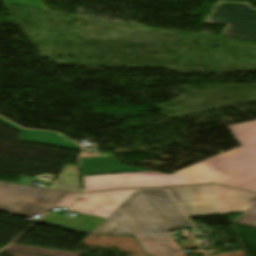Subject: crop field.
Returning a JSON list of instances; mask_svg holds the SVG:
<instances>
[{"mask_svg": "<svg viewBox=\"0 0 256 256\" xmlns=\"http://www.w3.org/2000/svg\"><path fill=\"white\" fill-rule=\"evenodd\" d=\"M229 128L242 147L173 175L146 171L83 177L85 191L203 183L256 191V121L230 125Z\"/></svg>", "mask_w": 256, "mask_h": 256, "instance_id": "1", "label": "crop field"}, {"mask_svg": "<svg viewBox=\"0 0 256 256\" xmlns=\"http://www.w3.org/2000/svg\"><path fill=\"white\" fill-rule=\"evenodd\" d=\"M193 227L166 189L135 190L92 233L134 236L150 256H187L169 231Z\"/></svg>", "mask_w": 256, "mask_h": 256, "instance_id": "2", "label": "crop field"}, {"mask_svg": "<svg viewBox=\"0 0 256 256\" xmlns=\"http://www.w3.org/2000/svg\"><path fill=\"white\" fill-rule=\"evenodd\" d=\"M188 216L243 212L256 203V194L220 186L169 189Z\"/></svg>", "mask_w": 256, "mask_h": 256, "instance_id": "3", "label": "crop field"}, {"mask_svg": "<svg viewBox=\"0 0 256 256\" xmlns=\"http://www.w3.org/2000/svg\"><path fill=\"white\" fill-rule=\"evenodd\" d=\"M77 192L32 188L0 181V211L32 218L42 215L60 197Z\"/></svg>", "mask_w": 256, "mask_h": 256, "instance_id": "4", "label": "crop field"}, {"mask_svg": "<svg viewBox=\"0 0 256 256\" xmlns=\"http://www.w3.org/2000/svg\"><path fill=\"white\" fill-rule=\"evenodd\" d=\"M204 23L227 25L223 37L256 41V9L250 3L217 1Z\"/></svg>", "mask_w": 256, "mask_h": 256, "instance_id": "5", "label": "crop field"}, {"mask_svg": "<svg viewBox=\"0 0 256 256\" xmlns=\"http://www.w3.org/2000/svg\"><path fill=\"white\" fill-rule=\"evenodd\" d=\"M134 190L84 194L68 210L107 218L112 211Z\"/></svg>", "mask_w": 256, "mask_h": 256, "instance_id": "6", "label": "crop field"}, {"mask_svg": "<svg viewBox=\"0 0 256 256\" xmlns=\"http://www.w3.org/2000/svg\"><path fill=\"white\" fill-rule=\"evenodd\" d=\"M103 220V218H97L80 214H77L73 219H70L56 216L55 213H48L41 221L44 222L45 224L55 225L65 229L89 234Z\"/></svg>", "mask_w": 256, "mask_h": 256, "instance_id": "7", "label": "crop field"}, {"mask_svg": "<svg viewBox=\"0 0 256 256\" xmlns=\"http://www.w3.org/2000/svg\"><path fill=\"white\" fill-rule=\"evenodd\" d=\"M0 122L18 130L21 132L19 139L37 142L42 144L60 146L70 149L81 150L82 147L74 144L73 142L67 140L63 136L59 135L58 133H50V132H40V131H32V130H21L18 126L0 118Z\"/></svg>", "mask_w": 256, "mask_h": 256, "instance_id": "8", "label": "crop field"}, {"mask_svg": "<svg viewBox=\"0 0 256 256\" xmlns=\"http://www.w3.org/2000/svg\"><path fill=\"white\" fill-rule=\"evenodd\" d=\"M58 177L62 178L63 184L81 189L78 166L65 165Z\"/></svg>", "mask_w": 256, "mask_h": 256, "instance_id": "9", "label": "crop field"}, {"mask_svg": "<svg viewBox=\"0 0 256 256\" xmlns=\"http://www.w3.org/2000/svg\"><path fill=\"white\" fill-rule=\"evenodd\" d=\"M232 222L256 227V204L247 209Z\"/></svg>", "mask_w": 256, "mask_h": 256, "instance_id": "10", "label": "crop field"}, {"mask_svg": "<svg viewBox=\"0 0 256 256\" xmlns=\"http://www.w3.org/2000/svg\"><path fill=\"white\" fill-rule=\"evenodd\" d=\"M80 195L69 196L66 199L60 201L56 206L68 208Z\"/></svg>", "mask_w": 256, "mask_h": 256, "instance_id": "11", "label": "crop field"}, {"mask_svg": "<svg viewBox=\"0 0 256 256\" xmlns=\"http://www.w3.org/2000/svg\"><path fill=\"white\" fill-rule=\"evenodd\" d=\"M49 188L82 192L80 190H77V189H74V188H70V187H67V186H63V185H59V184H55V183H52Z\"/></svg>", "mask_w": 256, "mask_h": 256, "instance_id": "12", "label": "crop field"}]
</instances>
